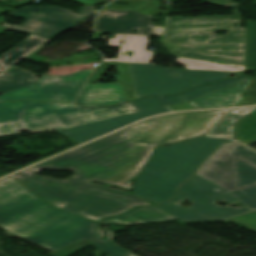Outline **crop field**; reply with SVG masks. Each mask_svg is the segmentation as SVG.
Returning a JSON list of instances; mask_svg holds the SVG:
<instances>
[{"label":"crop field","instance_id":"obj_1","mask_svg":"<svg viewBox=\"0 0 256 256\" xmlns=\"http://www.w3.org/2000/svg\"><path fill=\"white\" fill-rule=\"evenodd\" d=\"M97 223L46 204L12 176L0 181V225L10 236L56 251L97 237Z\"/></svg>","mask_w":256,"mask_h":256},{"label":"crop field","instance_id":"obj_2","mask_svg":"<svg viewBox=\"0 0 256 256\" xmlns=\"http://www.w3.org/2000/svg\"><path fill=\"white\" fill-rule=\"evenodd\" d=\"M129 128L26 169L15 176L43 200L62 208L90 184L89 181L136 146L118 141ZM41 169H73L76 176L64 181L35 176Z\"/></svg>","mask_w":256,"mask_h":256},{"label":"crop field","instance_id":"obj_3","mask_svg":"<svg viewBox=\"0 0 256 256\" xmlns=\"http://www.w3.org/2000/svg\"><path fill=\"white\" fill-rule=\"evenodd\" d=\"M240 4L233 16L167 18L162 45L173 56L246 66L245 28ZM228 31L227 35H215Z\"/></svg>","mask_w":256,"mask_h":256},{"label":"crop field","instance_id":"obj_4","mask_svg":"<svg viewBox=\"0 0 256 256\" xmlns=\"http://www.w3.org/2000/svg\"><path fill=\"white\" fill-rule=\"evenodd\" d=\"M226 141L203 136L158 148L136 179L133 194L155 203L174 197L179 184Z\"/></svg>","mask_w":256,"mask_h":256},{"label":"crop field","instance_id":"obj_5","mask_svg":"<svg viewBox=\"0 0 256 256\" xmlns=\"http://www.w3.org/2000/svg\"><path fill=\"white\" fill-rule=\"evenodd\" d=\"M96 6H84L81 8L82 14L73 13L72 10L56 6H26L16 10L9 15L27 19L22 26H15L5 23L3 26L9 30L32 34L19 45L0 57V72L13 66L46 41L54 37L57 33L66 30L75 24L83 21L93 15ZM35 11L42 14H34ZM36 21V22H33ZM43 23V24H40ZM34 23H37L36 25ZM30 26L33 32H30ZM47 43V42H46ZM36 74L14 66L7 72L0 74V93H4L25 85L33 84L38 79L34 78ZM33 79L32 81L29 79Z\"/></svg>","mask_w":256,"mask_h":256},{"label":"crop field","instance_id":"obj_6","mask_svg":"<svg viewBox=\"0 0 256 256\" xmlns=\"http://www.w3.org/2000/svg\"><path fill=\"white\" fill-rule=\"evenodd\" d=\"M136 112L130 102L97 108L42 101L0 103V136L18 134L21 129L29 132L67 129Z\"/></svg>","mask_w":256,"mask_h":256},{"label":"crop field","instance_id":"obj_7","mask_svg":"<svg viewBox=\"0 0 256 256\" xmlns=\"http://www.w3.org/2000/svg\"><path fill=\"white\" fill-rule=\"evenodd\" d=\"M196 174L226 188L247 207L256 209V153L241 144H224Z\"/></svg>","mask_w":256,"mask_h":256},{"label":"crop field","instance_id":"obj_8","mask_svg":"<svg viewBox=\"0 0 256 256\" xmlns=\"http://www.w3.org/2000/svg\"><path fill=\"white\" fill-rule=\"evenodd\" d=\"M230 109L168 114L133 125L119 140L156 147L208 132Z\"/></svg>","mask_w":256,"mask_h":256},{"label":"crop field","instance_id":"obj_9","mask_svg":"<svg viewBox=\"0 0 256 256\" xmlns=\"http://www.w3.org/2000/svg\"><path fill=\"white\" fill-rule=\"evenodd\" d=\"M216 188L221 191H215ZM183 199H190L194 204L187 208L181 207L178 204ZM222 199L239 202L227 190L194 174L190 181L183 184L174 200L156 206L182 221L220 220L250 211L247 207L235 209L230 205L219 207L214 203Z\"/></svg>","mask_w":256,"mask_h":256},{"label":"crop field","instance_id":"obj_10","mask_svg":"<svg viewBox=\"0 0 256 256\" xmlns=\"http://www.w3.org/2000/svg\"><path fill=\"white\" fill-rule=\"evenodd\" d=\"M135 97L178 94L195 85L219 80L235 72L165 69L129 63ZM179 74V77H174Z\"/></svg>","mask_w":256,"mask_h":256},{"label":"crop field","instance_id":"obj_11","mask_svg":"<svg viewBox=\"0 0 256 256\" xmlns=\"http://www.w3.org/2000/svg\"><path fill=\"white\" fill-rule=\"evenodd\" d=\"M141 205L151 204L127 192L90 184L62 209L97 221Z\"/></svg>","mask_w":256,"mask_h":256},{"label":"crop field","instance_id":"obj_12","mask_svg":"<svg viewBox=\"0 0 256 256\" xmlns=\"http://www.w3.org/2000/svg\"><path fill=\"white\" fill-rule=\"evenodd\" d=\"M93 70H83L64 76L43 75L38 82L0 96L1 101L41 99L71 102Z\"/></svg>","mask_w":256,"mask_h":256},{"label":"crop field","instance_id":"obj_13","mask_svg":"<svg viewBox=\"0 0 256 256\" xmlns=\"http://www.w3.org/2000/svg\"><path fill=\"white\" fill-rule=\"evenodd\" d=\"M152 16L137 11L105 10L98 15L95 32L162 36L164 26L154 27ZM139 29V33H131Z\"/></svg>","mask_w":256,"mask_h":256},{"label":"crop field","instance_id":"obj_14","mask_svg":"<svg viewBox=\"0 0 256 256\" xmlns=\"http://www.w3.org/2000/svg\"><path fill=\"white\" fill-rule=\"evenodd\" d=\"M154 150L137 145L94 180L129 188L132 179L140 173Z\"/></svg>","mask_w":256,"mask_h":256},{"label":"crop field","instance_id":"obj_15","mask_svg":"<svg viewBox=\"0 0 256 256\" xmlns=\"http://www.w3.org/2000/svg\"><path fill=\"white\" fill-rule=\"evenodd\" d=\"M166 111H171L168 106L142 112V113H137V114H131V115H125L117 118H112L88 125H83L67 130H59L69 137L73 138L74 140L83 143L87 140H90L94 137H97L99 135L105 134L107 132L113 131L119 127H122L134 120L144 118L150 115L166 112Z\"/></svg>","mask_w":256,"mask_h":256},{"label":"crop field","instance_id":"obj_16","mask_svg":"<svg viewBox=\"0 0 256 256\" xmlns=\"http://www.w3.org/2000/svg\"><path fill=\"white\" fill-rule=\"evenodd\" d=\"M111 35H115L116 38L112 39L110 36L109 46L121 47L119 56L118 59H104L103 61H121L149 64L157 54V52L146 50L150 36L123 34ZM121 40L125 41L122 45H120ZM129 50L135 53L132 57L126 55V52ZM121 52H123V54H121Z\"/></svg>","mask_w":256,"mask_h":256},{"label":"crop field","instance_id":"obj_17","mask_svg":"<svg viewBox=\"0 0 256 256\" xmlns=\"http://www.w3.org/2000/svg\"><path fill=\"white\" fill-rule=\"evenodd\" d=\"M127 101L120 83L89 84L80 93L75 103L85 107L116 105Z\"/></svg>","mask_w":256,"mask_h":256},{"label":"crop field","instance_id":"obj_18","mask_svg":"<svg viewBox=\"0 0 256 256\" xmlns=\"http://www.w3.org/2000/svg\"><path fill=\"white\" fill-rule=\"evenodd\" d=\"M251 79H247L235 86L228 87L189 102L195 108H218L237 105L242 99L241 94L246 91Z\"/></svg>","mask_w":256,"mask_h":256},{"label":"crop field","instance_id":"obj_19","mask_svg":"<svg viewBox=\"0 0 256 256\" xmlns=\"http://www.w3.org/2000/svg\"><path fill=\"white\" fill-rule=\"evenodd\" d=\"M171 219H176V218L155 206H151V207L137 208L124 215L105 219V221L133 224V223H139V222H155V221H164V220H171Z\"/></svg>","mask_w":256,"mask_h":256},{"label":"crop field","instance_id":"obj_20","mask_svg":"<svg viewBox=\"0 0 256 256\" xmlns=\"http://www.w3.org/2000/svg\"><path fill=\"white\" fill-rule=\"evenodd\" d=\"M105 65H108V67L109 65L118 67L120 75L115 76L116 82H121L125 96L128 101L135 99L128 63H121V62L102 63L99 67L96 68L95 72L89 79L88 83L100 82V80L102 79V77L104 76V74L108 69V67L107 69L104 68Z\"/></svg>","mask_w":256,"mask_h":256},{"label":"crop field","instance_id":"obj_21","mask_svg":"<svg viewBox=\"0 0 256 256\" xmlns=\"http://www.w3.org/2000/svg\"><path fill=\"white\" fill-rule=\"evenodd\" d=\"M256 108L234 109L212 132L210 136L233 138L235 125L240 118L248 115Z\"/></svg>","mask_w":256,"mask_h":256},{"label":"crop field","instance_id":"obj_22","mask_svg":"<svg viewBox=\"0 0 256 256\" xmlns=\"http://www.w3.org/2000/svg\"><path fill=\"white\" fill-rule=\"evenodd\" d=\"M177 61H179L180 64L184 65L186 69H199V70H221V71H245L246 67L238 66L233 67L236 65H225L223 63L213 62H206V61H200V60H193V59H186V58H180L177 57Z\"/></svg>","mask_w":256,"mask_h":256},{"label":"crop field","instance_id":"obj_23","mask_svg":"<svg viewBox=\"0 0 256 256\" xmlns=\"http://www.w3.org/2000/svg\"><path fill=\"white\" fill-rule=\"evenodd\" d=\"M246 78H248V77L243 76V77H238V78L228 80V81L213 83L210 86H207V85L199 86V87H196L192 90L187 91L186 93H184L182 95L187 100V102H189L191 100H194L196 98H199L201 96H204L206 94L214 92V91L219 90L221 88L232 86V85H234V84H236V83H238V82H240V81H242Z\"/></svg>","mask_w":256,"mask_h":256},{"label":"crop field","instance_id":"obj_24","mask_svg":"<svg viewBox=\"0 0 256 256\" xmlns=\"http://www.w3.org/2000/svg\"><path fill=\"white\" fill-rule=\"evenodd\" d=\"M246 47V71H256V22L246 21Z\"/></svg>","mask_w":256,"mask_h":256},{"label":"crop field","instance_id":"obj_25","mask_svg":"<svg viewBox=\"0 0 256 256\" xmlns=\"http://www.w3.org/2000/svg\"><path fill=\"white\" fill-rule=\"evenodd\" d=\"M100 237L107 236L108 240H102L99 238L95 239L92 243L101 248L104 252H106L110 256H137L129 251H126L120 247H118L113 241L114 235L111 231L108 230H99Z\"/></svg>","mask_w":256,"mask_h":256},{"label":"crop field","instance_id":"obj_26","mask_svg":"<svg viewBox=\"0 0 256 256\" xmlns=\"http://www.w3.org/2000/svg\"><path fill=\"white\" fill-rule=\"evenodd\" d=\"M184 102L183 99L178 96H173V97H148L145 99H141L139 101H133L131 102L135 108L141 112L165 105H170V104H176V103H182Z\"/></svg>","mask_w":256,"mask_h":256},{"label":"crop field","instance_id":"obj_27","mask_svg":"<svg viewBox=\"0 0 256 256\" xmlns=\"http://www.w3.org/2000/svg\"><path fill=\"white\" fill-rule=\"evenodd\" d=\"M250 135L252 142H247L242 136ZM235 139L242 141L243 143L249 145L256 142V111L247 117L246 119L240 121L238 126V135Z\"/></svg>","mask_w":256,"mask_h":256},{"label":"crop field","instance_id":"obj_28","mask_svg":"<svg viewBox=\"0 0 256 256\" xmlns=\"http://www.w3.org/2000/svg\"><path fill=\"white\" fill-rule=\"evenodd\" d=\"M226 221L229 220H233V221H237L249 228H252L254 230H256V211H251V212H247V213H243L240 214L238 216L232 217V218H228V219H224Z\"/></svg>","mask_w":256,"mask_h":256},{"label":"crop field","instance_id":"obj_29","mask_svg":"<svg viewBox=\"0 0 256 256\" xmlns=\"http://www.w3.org/2000/svg\"><path fill=\"white\" fill-rule=\"evenodd\" d=\"M119 2H131L129 6L113 4L107 9L138 10L151 0H118Z\"/></svg>","mask_w":256,"mask_h":256},{"label":"crop field","instance_id":"obj_30","mask_svg":"<svg viewBox=\"0 0 256 256\" xmlns=\"http://www.w3.org/2000/svg\"><path fill=\"white\" fill-rule=\"evenodd\" d=\"M88 245H90V242L84 241V242L69 246L67 248L61 249L59 251H56L52 254L56 256H70Z\"/></svg>","mask_w":256,"mask_h":256},{"label":"crop field","instance_id":"obj_31","mask_svg":"<svg viewBox=\"0 0 256 256\" xmlns=\"http://www.w3.org/2000/svg\"><path fill=\"white\" fill-rule=\"evenodd\" d=\"M155 2L159 3L158 1L153 0V1H151L150 4H148L147 6H145L144 8H142V9H144V10H139V12L145 13V14H149V15H156V14H158V13H164V14H166L167 11H162V10L159 9V7H160L162 4L159 3V5H157V4H154ZM149 11H152V12H155V13H154V14L148 13Z\"/></svg>","mask_w":256,"mask_h":256},{"label":"crop field","instance_id":"obj_32","mask_svg":"<svg viewBox=\"0 0 256 256\" xmlns=\"http://www.w3.org/2000/svg\"><path fill=\"white\" fill-rule=\"evenodd\" d=\"M256 104V99L252 98L250 96H247L244 98L242 102H240L238 105L239 106H248V105H255Z\"/></svg>","mask_w":256,"mask_h":256},{"label":"crop field","instance_id":"obj_33","mask_svg":"<svg viewBox=\"0 0 256 256\" xmlns=\"http://www.w3.org/2000/svg\"><path fill=\"white\" fill-rule=\"evenodd\" d=\"M234 1V0H208V3H212V4H216V5H221V6H225L228 7L229 4Z\"/></svg>","mask_w":256,"mask_h":256},{"label":"crop field","instance_id":"obj_34","mask_svg":"<svg viewBox=\"0 0 256 256\" xmlns=\"http://www.w3.org/2000/svg\"><path fill=\"white\" fill-rule=\"evenodd\" d=\"M252 87L251 91L249 90L250 88ZM254 89H256V77L253 78L248 90H247V94L252 96V97H255L256 98V92H254Z\"/></svg>","mask_w":256,"mask_h":256},{"label":"crop field","instance_id":"obj_35","mask_svg":"<svg viewBox=\"0 0 256 256\" xmlns=\"http://www.w3.org/2000/svg\"><path fill=\"white\" fill-rule=\"evenodd\" d=\"M171 110H182V109H192L187 103L171 105L169 106Z\"/></svg>","mask_w":256,"mask_h":256},{"label":"crop field","instance_id":"obj_36","mask_svg":"<svg viewBox=\"0 0 256 256\" xmlns=\"http://www.w3.org/2000/svg\"><path fill=\"white\" fill-rule=\"evenodd\" d=\"M72 1L83 3L85 5H95L96 3H98L101 0H72Z\"/></svg>","mask_w":256,"mask_h":256},{"label":"crop field","instance_id":"obj_37","mask_svg":"<svg viewBox=\"0 0 256 256\" xmlns=\"http://www.w3.org/2000/svg\"><path fill=\"white\" fill-rule=\"evenodd\" d=\"M247 141H251L249 136L244 137Z\"/></svg>","mask_w":256,"mask_h":256}]
</instances>
